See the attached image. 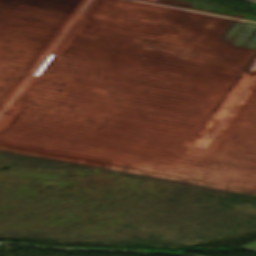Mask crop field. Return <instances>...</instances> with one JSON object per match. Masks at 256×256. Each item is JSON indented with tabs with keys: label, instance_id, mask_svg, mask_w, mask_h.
<instances>
[{
	"label": "crop field",
	"instance_id": "obj_1",
	"mask_svg": "<svg viewBox=\"0 0 256 256\" xmlns=\"http://www.w3.org/2000/svg\"><path fill=\"white\" fill-rule=\"evenodd\" d=\"M241 250H252V251H256V241L253 243H250L242 248H240Z\"/></svg>",
	"mask_w": 256,
	"mask_h": 256
},
{
	"label": "crop field",
	"instance_id": "obj_2",
	"mask_svg": "<svg viewBox=\"0 0 256 256\" xmlns=\"http://www.w3.org/2000/svg\"><path fill=\"white\" fill-rule=\"evenodd\" d=\"M244 1L256 4V0H244Z\"/></svg>",
	"mask_w": 256,
	"mask_h": 256
}]
</instances>
